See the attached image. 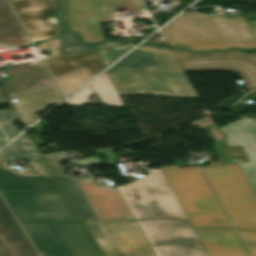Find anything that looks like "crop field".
I'll return each instance as SVG.
<instances>
[{
    "label": "crop field",
    "mask_w": 256,
    "mask_h": 256,
    "mask_svg": "<svg viewBox=\"0 0 256 256\" xmlns=\"http://www.w3.org/2000/svg\"><path fill=\"white\" fill-rule=\"evenodd\" d=\"M0 42L12 46L30 44L5 0H0Z\"/></svg>",
    "instance_id": "214f88e0"
},
{
    "label": "crop field",
    "mask_w": 256,
    "mask_h": 256,
    "mask_svg": "<svg viewBox=\"0 0 256 256\" xmlns=\"http://www.w3.org/2000/svg\"><path fill=\"white\" fill-rule=\"evenodd\" d=\"M210 256H247L233 229H195Z\"/></svg>",
    "instance_id": "4a817a6b"
},
{
    "label": "crop field",
    "mask_w": 256,
    "mask_h": 256,
    "mask_svg": "<svg viewBox=\"0 0 256 256\" xmlns=\"http://www.w3.org/2000/svg\"><path fill=\"white\" fill-rule=\"evenodd\" d=\"M40 155L30 136L23 134L0 152L2 157L22 158ZM42 155V154H41Z\"/></svg>",
    "instance_id": "92a150f3"
},
{
    "label": "crop field",
    "mask_w": 256,
    "mask_h": 256,
    "mask_svg": "<svg viewBox=\"0 0 256 256\" xmlns=\"http://www.w3.org/2000/svg\"><path fill=\"white\" fill-rule=\"evenodd\" d=\"M66 3L70 30L80 34L84 42L105 39L99 24L114 20V7L124 5L130 11L145 9L141 0H66Z\"/></svg>",
    "instance_id": "3316defc"
},
{
    "label": "crop field",
    "mask_w": 256,
    "mask_h": 256,
    "mask_svg": "<svg viewBox=\"0 0 256 256\" xmlns=\"http://www.w3.org/2000/svg\"><path fill=\"white\" fill-rule=\"evenodd\" d=\"M60 41L62 54L95 50L104 68L135 45L113 41L84 44L74 33L60 34Z\"/></svg>",
    "instance_id": "733c2abd"
},
{
    "label": "crop field",
    "mask_w": 256,
    "mask_h": 256,
    "mask_svg": "<svg viewBox=\"0 0 256 256\" xmlns=\"http://www.w3.org/2000/svg\"><path fill=\"white\" fill-rule=\"evenodd\" d=\"M214 148H215L218 156L222 160L223 164L236 163V161L234 160L233 156L231 155V153L227 149L224 142L214 143Z\"/></svg>",
    "instance_id": "730fd06b"
},
{
    "label": "crop field",
    "mask_w": 256,
    "mask_h": 256,
    "mask_svg": "<svg viewBox=\"0 0 256 256\" xmlns=\"http://www.w3.org/2000/svg\"><path fill=\"white\" fill-rule=\"evenodd\" d=\"M34 175L17 173L0 159V192L40 256L100 254L63 189L43 157L28 159Z\"/></svg>",
    "instance_id": "8a807250"
},
{
    "label": "crop field",
    "mask_w": 256,
    "mask_h": 256,
    "mask_svg": "<svg viewBox=\"0 0 256 256\" xmlns=\"http://www.w3.org/2000/svg\"><path fill=\"white\" fill-rule=\"evenodd\" d=\"M128 186L118 187L136 219H188L161 169Z\"/></svg>",
    "instance_id": "e52e79f7"
},
{
    "label": "crop field",
    "mask_w": 256,
    "mask_h": 256,
    "mask_svg": "<svg viewBox=\"0 0 256 256\" xmlns=\"http://www.w3.org/2000/svg\"><path fill=\"white\" fill-rule=\"evenodd\" d=\"M31 39L43 40L59 33L55 0H8Z\"/></svg>",
    "instance_id": "d1516ede"
},
{
    "label": "crop field",
    "mask_w": 256,
    "mask_h": 256,
    "mask_svg": "<svg viewBox=\"0 0 256 256\" xmlns=\"http://www.w3.org/2000/svg\"><path fill=\"white\" fill-rule=\"evenodd\" d=\"M37 46L52 52L43 60L65 97L104 69L95 51L62 55L59 38Z\"/></svg>",
    "instance_id": "d8731c3e"
},
{
    "label": "crop field",
    "mask_w": 256,
    "mask_h": 256,
    "mask_svg": "<svg viewBox=\"0 0 256 256\" xmlns=\"http://www.w3.org/2000/svg\"><path fill=\"white\" fill-rule=\"evenodd\" d=\"M35 167H36V170H34V171H38V170H40L39 166H35Z\"/></svg>",
    "instance_id": "120bbe31"
},
{
    "label": "crop field",
    "mask_w": 256,
    "mask_h": 256,
    "mask_svg": "<svg viewBox=\"0 0 256 256\" xmlns=\"http://www.w3.org/2000/svg\"><path fill=\"white\" fill-rule=\"evenodd\" d=\"M256 38V21L247 22Z\"/></svg>",
    "instance_id": "bd1437ed"
},
{
    "label": "crop field",
    "mask_w": 256,
    "mask_h": 256,
    "mask_svg": "<svg viewBox=\"0 0 256 256\" xmlns=\"http://www.w3.org/2000/svg\"><path fill=\"white\" fill-rule=\"evenodd\" d=\"M75 180L99 219H133L115 187L96 184L92 178Z\"/></svg>",
    "instance_id": "22f410ed"
},
{
    "label": "crop field",
    "mask_w": 256,
    "mask_h": 256,
    "mask_svg": "<svg viewBox=\"0 0 256 256\" xmlns=\"http://www.w3.org/2000/svg\"><path fill=\"white\" fill-rule=\"evenodd\" d=\"M158 256H209L189 221H138Z\"/></svg>",
    "instance_id": "5a996713"
},
{
    "label": "crop field",
    "mask_w": 256,
    "mask_h": 256,
    "mask_svg": "<svg viewBox=\"0 0 256 256\" xmlns=\"http://www.w3.org/2000/svg\"><path fill=\"white\" fill-rule=\"evenodd\" d=\"M97 242L104 256H125L119 253L99 221H83Z\"/></svg>",
    "instance_id": "00972430"
},
{
    "label": "crop field",
    "mask_w": 256,
    "mask_h": 256,
    "mask_svg": "<svg viewBox=\"0 0 256 256\" xmlns=\"http://www.w3.org/2000/svg\"><path fill=\"white\" fill-rule=\"evenodd\" d=\"M171 50L183 71L235 70L241 74L250 90L256 89V54L239 50L199 54L176 48Z\"/></svg>",
    "instance_id": "28ad6ade"
},
{
    "label": "crop field",
    "mask_w": 256,
    "mask_h": 256,
    "mask_svg": "<svg viewBox=\"0 0 256 256\" xmlns=\"http://www.w3.org/2000/svg\"><path fill=\"white\" fill-rule=\"evenodd\" d=\"M255 93H256V91H255Z\"/></svg>",
    "instance_id": "d32e631a"
},
{
    "label": "crop field",
    "mask_w": 256,
    "mask_h": 256,
    "mask_svg": "<svg viewBox=\"0 0 256 256\" xmlns=\"http://www.w3.org/2000/svg\"><path fill=\"white\" fill-rule=\"evenodd\" d=\"M106 72L119 95L197 97L170 48L140 46Z\"/></svg>",
    "instance_id": "ac0d7876"
},
{
    "label": "crop field",
    "mask_w": 256,
    "mask_h": 256,
    "mask_svg": "<svg viewBox=\"0 0 256 256\" xmlns=\"http://www.w3.org/2000/svg\"><path fill=\"white\" fill-rule=\"evenodd\" d=\"M89 85H91L95 93L99 95L103 104L124 106L106 72Z\"/></svg>",
    "instance_id": "dafd665d"
},
{
    "label": "crop field",
    "mask_w": 256,
    "mask_h": 256,
    "mask_svg": "<svg viewBox=\"0 0 256 256\" xmlns=\"http://www.w3.org/2000/svg\"><path fill=\"white\" fill-rule=\"evenodd\" d=\"M60 32L68 31L67 13L64 0H56Z\"/></svg>",
    "instance_id": "4177f3b9"
},
{
    "label": "crop field",
    "mask_w": 256,
    "mask_h": 256,
    "mask_svg": "<svg viewBox=\"0 0 256 256\" xmlns=\"http://www.w3.org/2000/svg\"><path fill=\"white\" fill-rule=\"evenodd\" d=\"M3 103H6V101H5L3 95H2L1 92H0V104H3ZM2 113H3L4 115H1ZM12 117H14V114H13L12 111H3V110H0V120L9 119V118H12ZM6 142H7V141H6L5 137L3 136V134H2V132H1V130H0V147H1L4 143H6Z\"/></svg>",
    "instance_id": "ae1a2a85"
},
{
    "label": "crop field",
    "mask_w": 256,
    "mask_h": 256,
    "mask_svg": "<svg viewBox=\"0 0 256 256\" xmlns=\"http://www.w3.org/2000/svg\"><path fill=\"white\" fill-rule=\"evenodd\" d=\"M206 132L208 133L209 137L211 138L212 142H216L215 138L213 137L212 133L210 132L209 128H205Z\"/></svg>",
    "instance_id": "1d83c4d3"
},
{
    "label": "crop field",
    "mask_w": 256,
    "mask_h": 256,
    "mask_svg": "<svg viewBox=\"0 0 256 256\" xmlns=\"http://www.w3.org/2000/svg\"><path fill=\"white\" fill-rule=\"evenodd\" d=\"M5 69L11 79L2 83L11 99H19L20 103L15 106L26 124L38 119L35 113L44 110L45 106L63 100L41 61L7 66Z\"/></svg>",
    "instance_id": "f4fd0767"
},
{
    "label": "crop field",
    "mask_w": 256,
    "mask_h": 256,
    "mask_svg": "<svg viewBox=\"0 0 256 256\" xmlns=\"http://www.w3.org/2000/svg\"><path fill=\"white\" fill-rule=\"evenodd\" d=\"M202 170L233 226L256 230V196L238 164Z\"/></svg>",
    "instance_id": "dd49c442"
},
{
    "label": "crop field",
    "mask_w": 256,
    "mask_h": 256,
    "mask_svg": "<svg viewBox=\"0 0 256 256\" xmlns=\"http://www.w3.org/2000/svg\"><path fill=\"white\" fill-rule=\"evenodd\" d=\"M161 31L169 45L192 50L256 48V40L243 16L227 18L225 14L202 16L185 12Z\"/></svg>",
    "instance_id": "34b2d1b8"
},
{
    "label": "crop field",
    "mask_w": 256,
    "mask_h": 256,
    "mask_svg": "<svg viewBox=\"0 0 256 256\" xmlns=\"http://www.w3.org/2000/svg\"><path fill=\"white\" fill-rule=\"evenodd\" d=\"M250 256H256V231L236 229Z\"/></svg>",
    "instance_id": "a9b5d70f"
},
{
    "label": "crop field",
    "mask_w": 256,
    "mask_h": 256,
    "mask_svg": "<svg viewBox=\"0 0 256 256\" xmlns=\"http://www.w3.org/2000/svg\"><path fill=\"white\" fill-rule=\"evenodd\" d=\"M219 130L227 135L229 147L241 145L244 148L250 161L239 166L256 194V121L244 118Z\"/></svg>",
    "instance_id": "cbeb9de0"
},
{
    "label": "crop field",
    "mask_w": 256,
    "mask_h": 256,
    "mask_svg": "<svg viewBox=\"0 0 256 256\" xmlns=\"http://www.w3.org/2000/svg\"><path fill=\"white\" fill-rule=\"evenodd\" d=\"M0 256H38L1 197Z\"/></svg>",
    "instance_id": "d9b57169"
},
{
    "label": "crop field",
    "mask_w": 256,
    "mask_h": 256,
    "mask_svg": "<svg viewBox=\"0 0 256 256\" xmlns=\"http://www.w3.org/2000/svg\"><path fill=\"white\" fill-rule=\"evenodd\" d=\"M161 169L194 228L231 227L198 166Z\"/></svg>",
    "instance_id": "412701ff"
},
{
    "label": "crop field",
    "mask_w": 256,
    "mask_h": 256,
    "mask_svg": "<svg viewBox=\"0 0 256 256\" xmlns=\"http://www.w3.org/2000/svg\"><path fill=\"white\" fill-rule=\"evenodd\" d=\"M44 159L51 168L53 174L56 176L58 183L69 197L81 219H97L73 179L70 176L65 175L59 167L58 164L63 161L62 159H66L65 155H49L45 156Z\"/></svg>",
    "instance_id": "bc2a9ffb"
},
{
    "label": "crop field",
    "mask_w": 256,
    "mask_h": 256,
    "mask_svg": "<svg viewBox=\"0 0 256 256\" xmlns=\"http://www.w3.org/2000/svg\"><path fill=\"white\" fill-rule=\"evenodd\" d=\"M2 128L9 140L19 133L14 124L4 125Z\"/></svg>",
    "instance_id": "d3111659"
},
{
    "label": "crop field",
    "mask_w": 256,
    "mask_h": 256,
    "mask_svg": "<svg viewBox=\"0 0 256 256\" xmlns=\"http://www.w3.org/2000/svg\"><path fill=\"white\" fill-rule=\"evenodd\" d=\"M72 165L78 164V165H92V164H98L100 161L97 159V157H92V158H86V159H81L77 161H72Z\"/></svg>",
    "instance_id": "750c4746"
},
{
    "label": "crop field",
    "mask_w": 256,
    "mask_h": 256,
    "mask_svg": "<svg viewBox=\"0 0 256 256\" xmlns=\"http://www.w3.org/2000/svg\"><path fill=\"white\" fill-rule=\"evenodd\" d=\"M92 95L91 90L87 86L82 91H80L78 94L73 96L71 99H69L67 102H65L67 105H83L86 102H88L87 98Z\"/></svg>",
    "instance_id": "eef30255"
},
{
    "label": "crop field",
    "mask_w": 256,
    "mask_h": 256,
    "mask_svg": "<svg viewBox=\"0 0 256 256\" xmlns=\"http://www.w3.org/2000/svg\"><path fill=\"white\" fill-rule=\"evenodd\" d=\"M118 250L127 256H155L134 220L101 221Z\"/></svg>",
    "instance_id": "5142ce71"
}]
</instances>
